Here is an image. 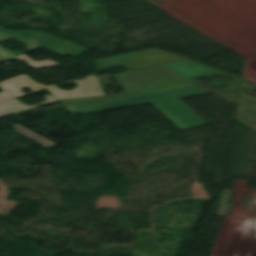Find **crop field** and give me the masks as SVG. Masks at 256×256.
Here are the masks:
<instances>
[{
	"label": "crop field",
	"mask_w": 256,
	"mask_h": 256,
	"mask_svg": "<svg viewBox=\"0 0 256 256\" xmlns=\"http://www.w3.org/2000/svg\"><path fill=\"white\" fill-rule=\"evenodd\" d=\"M16 57V55L6 49H4L1 45H0V61L3 60H7L10 58Z\"/></svg>",
	"instance_id": "d1516ede"
},
{
	"label": "crop field",
	"mask_w": 256,
	"mask_h": 256,
	"mask_svg": "<svg viewBox=\"0 0 256 256\" xmlns=\"http://www.w3.org/2000/svg\"><path fill=\"white\" fill-rule=\"evenodd\" d=\"M61 84H77L73 91H64L57 88L56 85ZM56 85L47 86V89L52 93L55 99L97 96L104 95L99 80L96 76H88L83 80L71 81L66 83H56Z\"/></svg>",
	"instance_id": "412701ff"
},
{
	"label": "crop field",
	"mask_w": 256,
	"mask_h": 256,
	"mask_svg": "<svg viewBox=\"0 0 256 256\" xmlns=\"http://www.w3.org/2000/svg\"><path fill=\"white\" fill-rule=\"evenodd\" d=\"M0 87L8 90L10 93L14 94L17 97L45 89L44 85L36 84L34 81H32L25 75L0 82ZM24 87H29L32 91L27 94H24L19 90Z\"/></svg>",
	"instance_id": "e52e79f7"
},
{
	"label": "crop field",
	"mask_w": 256,
	"mask_h": 256,
	"mask_svg": "<svg viewBox=\"0 0 256 256\" xmlns=\"http://www.w3.org/2000/svg\"><path fill=\"white\" fill-rule=\"evenodd\" d=\"M18 59L25 60L28 63V65H30L31 67H35V68L52 67V66H58L59 65V64H57V63H55L51 60L41 61V62H33L32 60H30L25 55H23L22 57H20Z\"/></svg>",
	"instance_id": "28ad6ade"
},
{
	"label": "crop field",
	"mask_w": 256,
	"mask_h": 256,
	"mask_svg": "<svg viewBox=\"0 0 256 256\" xmlns=\"http://www.w3.org/2000/svg\"><path fill=\"white\" fill-rule=\"evenodd\" d=\"M127 91L125 93L58 100L63 106L111 102L118 99L178 89L195 84L171 68L160 65L113 75ZM152 77V79H149Z\"/></svg>",
	"instance_id": "8a807250"
},
{
	"label": "crop field",
	"mask_w": 256,
	"mask_h": 256,
	"mask_svg": "<svg viewBox=\"0 0 256 256\" xmlns=\"http://www.w3.org/2000/svg\"><path fill=\"white\" fill-rule=\"evenodd\" d=\"M45 98L47 99V101L36 106H26L15 99L0 103V116L35 108L37 106L47 105L48 103L57 102V100H55L52 96L47 95L45 96ZM13 103H15V105H13Z\"/></svg>",
	"instance_id": "5a996713"
},
{
	"label": "crop field",
	"mask_w": 256,
	"mask_h": 256,
	"mask_svg": "<svg viewBox=\"0 0 256 256\" xmlns=\"http://www.w3.org/2000/svg\"><path fill=\"white\" fill-rule=\"evenodd\" d=\"M183 60V58L157 49L96 60L97 70L125 66L127 69Z\"/></svg>",
	"instance_id": "34b2d1b8"
},
{
	"label": "crop field",
	"mask_w": 256,
	"mask_h": 256,
	"mask_svg": "<svg viewBox=\"0 0 256 256\" xmlns=\"http://www.w3.org/2000/svg\"><path fill=\"white\" fill-rule=\"evenodd\" d=\"M210 93L202 86H194L189 88H183L173 91H167L162 93H156L151 95H145L135 98H129L124 100H118L112 103L94 104V105H82V106H70L65 107L72 114L103 111L115 108H122L128 106H135L141 104L151 103L159 111H161L166 117L174 122L182 130L205 125L194 112H192L184 103L178 98L193 96L198 94Z\"/></svg>",
	"instance_id": "ac0d7876"
},
{
	"label": "crop field",
	"mask_w": 256,
	"mask_h": 256,
	"mask_svg": "<svg viewBox=\"0 0 256 256\" xmlns=\"http://www.w3.org/2000/svg\"><path fill=\"white\" fill-rule=\"evenodd\" d=\"M167 66L171 67L172 69L178 71L179 73L190 79L224 73L222 71L206 67L191 61L168 64Z\"/></svg>",
	"instance_id": "dd49c442"
},
{
	"label": "crop field",
	"mask_w": 256,
	"mask_h": 256,
	"mask_svg": "<svg viewBox=\"0 0 256 256\" xmlns=\"http://www.w3.org/2000/svg\"><path fill=\"white\" fill-rule=\"evenodd\" d=\"M45 50H48L52 53L60 55L62 57L71 55V56H78L83 52L87 51L88 49L83 48L79 45L71 43L69 41H62L59 43H55L49 46L42 47Z\"/></svg>",
	"instance_id": "d8731c3e"
},
{
	"label": "crop field",
	"mask_w": 256,
	"mask_h": 256,
	"mask_svg": "<svg viewBox=\"0 0 256 256\" xmlns=\"http://www.w3.org/2000/svg\"><path fill=\"white\" fill-rule=\"evenodd\" d=\"M11 38L24 43L27 46L28 51L39 46L61 41L60 39L42 31H10L4 30L0 27L1 43ZM39 43H42V45H39Z\"/></svg>",
	"instance_id": "f4fd0767"
},
{
	"label": "crop field",
	"mask_w": 256,
	"mask_h": 256,
	"mask_svg": "<svg viewBox=\"0 0 256 256\" xmlns=\"http://www.w3.org/2000/svg\"><path fill=\"white\" fill-rule=\"evenodd\" d=\"M10 98H14V96L8 94L7 92L0 93V101L10 99Z\"/></svg>",
	"instance_id": "22f410ed"
},
{
	"label": "crop field",
	"mask_w": 256,
	"mask_h": 256,
	"mask_svg": "<svg viewBox=\"0 0 256 256\" xmlns=\"http://www.w3.org/2000/svg\"><path fill=\"white\" fill-rule=\"evenodd\" d=\"M12 127L16 129L15 130L16 132L22 134L23 136L41 144V145H43L47 148H50L52 146L57 145L56 143H54V142H52V141H50V140H48V139H46V138H44V137H42L38 134L26 129L25 127H23L19 124L15 125V126H12Z\"/></svg>",
	"instance_id": "3316defc"
}]
</instances>
